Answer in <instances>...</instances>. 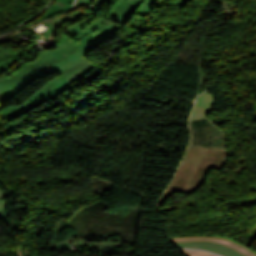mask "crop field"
Returning a JSON list of instances; mask_svg holds the SVG:
<instances>
[{
    "mask_svg": "<svg viewBox=\"0 0 256 256\" xmlns=\"http://www.w3.org/2000/svg\"><path fill=\"white\" fill-rule=\"evenodd\" d=\"M4 102H6V101L0 97V105H1L2 103H4Z\"/></svg>",
    "mask_w": 256,
    "mask_h": 256,
    "instance_id": "obj_16",
    "label": "crop field"
},
{
    "mask_svg": "<svg viewBox=\"0 0 256 256\" xmlns=\"http://www.w3.org/2000/svg\"><path fill=\"white\" fill-rule=\"evenodd\" d=\"M187 256H218L215 254H211L205 251L200 250H190V249H183L182 250Z\"/></svg>",
    "mask_w": 256,
    "mask_h": 256,
    "instance_id": "obj_9",
    "label": "crop field"
},
{
    "mask_svg": "<svg viewBox=\"0 0 256 256\" xmlns=\"http://www.w3.org/2000/svg\"><path fill=\"white\" fill-rule=\"evenodd\" d=\"M19 56L0 62V74L8 73L9 66L14 62L18 61Z\"/></svg>",
    "mask_w": 256,
    "mask_h": 256,
    "instance_id": "obj_10",
    "label": "crop field"
},
{
    "mask_svg": "<svg viewBox=\"0 0 256 256\" xmlns=\"http://www.w3.org/2000/svg\"><path fill=\"white\" fill-rule=\"evenodd\" d=\"M172 242L173 241H186V240H211V241H217V242H220V243H223V244H226L230 247H233V248H236L238 249L239 251H241L242 253L248 255V256H256L254 255L253 253L247 251L246 249L238 246V245H235L225 239H220V238H213V237H182V238H174V239H170Z\"/></svg>",
    "mask_w": 256,
    "mask_h": 256,
    "instance_id": "obj_7",
    "label": "crop field"
},
{
    "mask_svg": "<svg viewBox=\"0 0 256 256\" xmlns=\"http://www.w3.org/2000/svg\"><path fill=\"white\" fill-rule=\"evenodd\" d=\"M106 0H99L98 3H104Z\"/></svg>",
    "mask_w": 256,
    "mask_h": 256,
    "instance_id": "obj_17",
    "label": "crop field"
},
{
    "mask_svg": "<svg viewBox=\"0 0 256 256\" xmlns=\"http://www.w3.org/2000/svg\"><path fill=\"white\" fill-rule=\"evenodd\" d=\"M72 1L73 0H55L39 19H44L53 14L70 9Z\"/></svg>",
    "mask_w": 256,
    "mask_h": 256,
    "instance_id": "obj_6",
    "label": "crop field"
},
{
    "mask_svg": "<svg viewBox=\"0 0 256 256\" xmlns=\"http://www.w3.org/2000/svg\"><path fill=\"white\" fill-rule=\"evenodd\" d=\"M86 15H88V14L78 10L76 12L70 13V14L60 17L58 19L51 20V21H48V22L42 24V25H44V28H42V29H39L38 26L30 28L31 31L39 34L38 36L34 37L30 41L38 40L41 38H44V39L48 38L55 42L57 32L63 27V25H65L71 21H74L76 19H79L83 16H86Z\"/></svg>",
    "mask_w": 256,
    "mask_h": 256,
    "instance_id": "obj_3",
    "label": "crop field"
},
{
    "mask_svg": "<svg viewBox=\"0 0 256 256\" xmlns=\"http://www.w3.org/2000/svg\"><path fill=\"white\" fill-rule=\"evenodd\" d=\"M91 2H92V0H77V2H76L74 7L78 8L80 6L90 5Z\"/></svg>",
    "mask_w": 256,
    "mask_h": 256,
    "instance_id": "obj_13",
    "label": "crop field"
},
{
    "mask_svg": "<svg viewBox=\"0 0 256 256\" xmlns=\"http://www.w3.org/2000/svg\"><path fill=\"white\" fill-rule=\"evenodd\" d=\"M8 196V194L0 191V200L5 199V197ZM10 196V195H9Z\"/></svg>",
    "mask_w": 256,
    "mask_h": 256,
    "instance_id": "obj_15",
    "label": "crop field"
},
{
    "mask_svg": "<svg viewBox=\"0 0 256 256\" xmlns=\"http://www.w3.org/2000/svg\"><path fill=\"white\" fill-rule=\"evenodd\" d=\"M178 247L202 249L213 253L220 254L222 256H246L241 252L230 248L226 245L219 244L211 241H187V242H174Z\"/></svg>",
    "mask_w": 256,
    "mask_h": 256,
    "instance_id": "obj_4",
    "label": "crop field"
},
{
    "mask_svg": "<svg viewBox=\"0 0 256 256\" xmlns=\"http://www.w3.org/2000/svg\"><path fill=\"white\" fill-rule=\"evenodd\" d=\"M7 216L6 205L4 200L0 201V219L5 220Z\"/></svg>",
    "mask_w": 256,
    "mask_h": 256,
    "instance_id": "obj_11",
    "label": "crop field"
},
{
    "mask_svg": "<svg viewBox=\"0 0 256 256\" xmlns=\"http://www.w3.org/2000/svg\"><path fill=\"white\" fill-rule=\"evenodd\" d=\"M212 104V95L206 92L200 95L196 100L193 114L190 120L205 117V115L209 113Z\"/></svg>",
    "mask_w": 256,
    "mask_h": 256,
    "instance_id": "obj_5",
    "label": "crop field"
},
{
    "mask_svg": "<svg viewBox=\"0 0 256 256\" xmlns=\"http://www.w3.org/2000/svg\"><path fill=\"white\" fill-rule=\"evenodd\" d=\"M158 0H145L137 13L148 16Z\"/></svg>",
    "mask_w": 256,
    "mask_h": 256,
    "instance_id": "obj_8",
    "label": "crop field"
},
{
    "mask_svg": "<svg viewBox=\"0 0 256 256\" xmlns=\"http://www.w3.org/2000/svg\"><path fill=\"white\" fill-rule=\"evenodd\" d=\"M214 237H221V238H225V239H227V240H230V241H232V242H234V243H236V244H238V245L242 246L241 244L237 243V242H236V241H234L233 239L228 238V237H225V236H219V235H216V236H214ZM242 247H244V246H242ZM244 248H246V247H244ZM246 249H248L249 251H251V252H253L254 254H256V252H255V251H253V250H251V249H249V248H246Z\"/></svg>",
    "mask_w": 256,
    "mask_h": 256,
    "instance_id": "obj_14",
    "label": "crop field"
},
{
    "mask_svg": "<svg viewBox=\"0 0 256 256\" xmlns=\"http://www.w3.org/2000/svg\"><path fill=\"white\" fill-rule=\"evenodd\" d=\"M227 149L189 146L183 162L159 200L161 205L175 192L191 194L200 188L210 169H221Z\"/></svg>",
    "mask_w": 256,
    "mask_h": 256,
    "instance_id": "obj_2",
    "label": "crop field"
},
{
    "mask_svg": "<svg viewBox=\"0 0 256 256\" xmlns=\"http://www.w3.org/2000/svg\"><path fill=\"white\" fill-rule=\"evenodd\" d=\"M144 0H119L106 20L89 16L66 28L59 45L53 51L40 52L36 62L25 63L21 71L8 79H0V96L12 99L36 79L58 71L70 83L94 68L84 56L121 28Z\"/></svg>",
    "mask_w": 256,
    "mask_h": 256,
    "instance_id": "obj_1",
    "label": "crop field"
},
{
    "mask_svg": "<svg viewBox=\"0 0 256 256\" xmlns=\"http://www.w3.org/2000/svg\"><path fill=\"white\" fill-rule=\"evenodd\" d=\"M14 55H15V54L9 53V52H7L6 50H4V49H2V48L0 47V60L9 58V57L14 56Z\"/></svg>",
    "mask_w": 256,
    "mask_h": 256,
    "instance_id": "obj_12",
    "label": "crop field"
}]
</instances>
